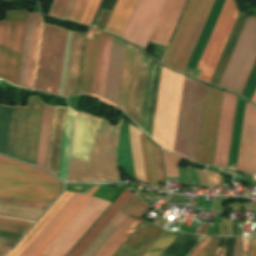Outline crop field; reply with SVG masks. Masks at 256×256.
I'll return each instance as SVG.
<instances>
[{"label":"crop field","instance_id":"obj_1","mask_svg":"<svg viewBox=\"0 0 256 256\" xmlns=\"http://www.w3.org/2000/svg\"><path fill=\"white\" fill-rule=\"evenodd\" d=\"M120 127L76 113L68 181L120 180L116 164Z\"/></svg>","mask_w":256,"mask_h":256},{"label":"crop field","instance_id":"obj_2","mask_svg":"<svg viewBox=\"0 0 256 256\" xmlns=\"http://www.w3.org/2000/svg\"><path fill=\"white\" fill-rule=\"evenodd\" d=\"M99 32L86 38L78 94L90 95ZM112 37L100 32L92 93L102 97ZM126 43L113 37L103 98L117 104Z\"/></svg>","mask_w":256,"mask_h":256},{"label":"crop field","instance_id":"obj_3","mask_svg":"<svg viewBox=\"0 0 256 256\" xmlns=\"http://www.w3.org/2000/svg\"><path fill=\"white\" fill-rule=\"evenodd\" d=\"M34 98L30 97L28 108H13L7 155L36 165L43 104ZM52 111L44 105L37 161L44 168Z\"/></svg>","mask_w":256,"mask_h":256},{"label":"crop field","instance_id":"obj_4","mask_svg":"<svg viewBox=\"0 0 256 256\" xmlns=\"http://www.w3.org/2000/svg\"><path fill=\"white\" fill-rule=\"evenodd\" d=\"M224 92L207 87L196 162L213 165ZM236 95L225 92L215 166L226 168Z\"/></svg>","mask_w":256,"mask_h":256},{"label":"crop field","instance_id":"obj_5","mask_svg":"<svg viewBox=\"0 0 256 256\" xmlns=\"http://www.w3.org/2000/svg\"><path fill=\"white\" fill-rule=\"evenodd\" d=\"M45 172L0 156V196L49 204L61 183Z\"/></svg>","mask_w":256,"mask_h":256},{"label":"crop field","instance_id":"obj_6","mask_svg":"<svg viewBox=\"0 0 256 256\" xmlns=\"http://www.w3.org/2000/svg\"><path fill=\"white\" fill-rule=\"evenodd\" d=\"M184 76L162 70L152 139L172 151Z\"/></svg>","mask_w":256,"mask_h":256},{"label":"crop field","instance_id":"obj_7","mask_svg":"<svg viewBox=\"0 0 256 256\" xmlns=\"http://www.w3.org/2000/svg\"><path fill=\"white\" fill-rule=\"evenodd\" d=\"M214 0H190L163 64L183 72Z\"/></svg>","mask_w":256,"mask_h":256},{"label":"crop field","instance_id":"obj_8","mask_svg":"<svg viewBox=\"0 0 256 256\" xmlns=\"http://www.w3.org/2000/svg\"><path fill=\"white\" fill-rule=\"evenodd\" d=\"M67 31L43 25L34 89L57 94Z\"/></svg>","mask_w":256,"mask_h":256},{"label":"crop field","instance_id":"obj_9","mask_svg":"<svg viewBox=\"0 0 256 256\" xmlns=\"http://www.w3.org/2000/svg\"><path fill=\"white\" fill-rule=\"evenodd\" d=\"M255 60L256 18H248L219 85L241 93Z\"/></svg>","mask_w":256,"mask_h":256},{"label":"crop field","instance_id":"obj_10","mask_svg":"<svg viewBox=\"0 0 256 256\" xmlns=\"http://www.w3.org/2000/svg\"><path fill=\"white\" fill-rule=\"evenodd\" d=\"M26 12H5L0 22V78L16 84Z\"/></svg>","mask_w":256,"mask_h":256},{"label":"crop field","instance_id":"obj_11","mask_svg":"<svg viewBox=\"0 0 256 256\" xmlns=\"http://www.w3.org/2000/svg\"><path fill=\"white\" fill-rule=\"evenodd\" d=\"M109 204L91 196L40 256H65Z\"/></svg>","mask_w":256,"mask_h":256},{"label":"crop field","instance_id":"obj_12","mask_svg":"<svg viewBox=\"0 0 256 256\" xmlns=\"http://www.w3.org/2000/svg\"><path fill=\"white\" fill-rule=\"evenodd\" d=\"M237 16L234 1L225 0L197 65L207 69L203 81L209 82Z\"/></svg>","mask_w":256,"mask_h":256},{"label":"crop field","instance_id":"obj_13","mask_svg":"<svg viewBox=\"0 0 256 256\" xmlns=\"http://www.w3.org/2000/svg\"><path fill=\"white\" fill-rule=\"evenodd\" d=\"M166 0H137L122 38L146 48Z\"/></svg>","mask_w":256,"mask_h":256},{"label":"crop field","instance_id":"obj_14","mask_svg":"<svg viewBox=\"0 0 256 256\" xmlns=\"http://www.w3.org/2000/svg\"><path fill=\"white\" fill-rule=\"evenodd\" d=\"M91 188L92 187H88L83 194H87ZM97 188L98 187H93L87 195L75 193L21 256H30V254L37 248V246L83 195L73 206V208L66 214V216L59 222V224L52 230V232L45 238V240L38 246V248L31 254V256H39V254L46 248V246L53 240V238L60 232V230L67 224V222L74 216V214L81 208V206L88 200V198L96 191Z\"/></svg>","mask_w":256,"mask_h":256},{"label":"crop field","instance_id":"obj_15","mask_svg":"<svg viewBox=\"0 0 256 256\" xmlns=\"http://www.w3.org/2000/svg\"><path fill=\"white\" fill-rule=\"evenodd\" d=\"M131 138L133 177L141 181V131L131 126ZM148 140L142 134V181L158 188L159 178L155 148Z\"/></svg>","mask_w":256,"mask_h":256},{"label":"crop field","instance_id":"obj_16","mask_svg":"<svg viewBox=\"0 0 256 256\" xmlns=\"http://www.w3.org/2000/svg\"><path fill=\"white\" fill-rule=\"evenodd\" d=\"M237 171L256 173V105L246 102Z\"/></svg>","mask_w":256,"mask_h":256},{"label":"crop field","instance_id":"obj_17","mask_svg":"<svg viewBox=\"0 0 256 256\" xmlns=\"http://www.w3.org/2000/svg\"><path fill=\"white\" fill-rule=\"evenodd\" d=\"M148 58L137 48L133 63L126 114L139 126Z\"/></svg>","mask_w":256,"mask_h":256},{"label":"crop field","instance_id":"obj_18","mask_svg":"<svg viewBox=\"0 0 256 256\" xmlns=\"http://www.w3.org/2000/svg\"><path fill=\"white\" fill-rule=\"evenodd\" d=\"M145 204L139 201L137 197L132 195L120 211L127 215L141 219L143 215L150 210V208ZM120 211L114 216V218L106 225V227L99 233V235L80 256H92L100 248V246L126 218V216L122 215L123 213Z\"/></svg>","mask_w":256,"mask_h":256},{"label":"crop field","instance_id":"obj_19","mask_svg":"<svg viewBox=\"0 0 256 256\" xmlns=\"http://www.w3.org/2000/svg\"><path fill=\"white\" fill-rule=\"evenodd\" d=\"M187 0H167L150 42L168 45Z\"/></svg>","mask_w":256,"mask_h":256},{"label":"crop field","instance_id":"obj_20","mask_svg":"<svg viewBox=\"0 0 256 256\" xmlns=\"http://www.w3.org/2000/svg\"><path fill=\"white\" fill-rule=\"evenodd\" d=\"M162 232L144 222L115 256H142Z\"/></svg>","mask_w":256,"mask_h":256},{"label":"crop field","instance_id":"obj_21","mask_svg":"<svg viewBox=\"0 0 256 256\" xmlns=\"http://www.w3.org/2000/svg\"><path fill=\"white\" fill-rule=\"evenodd\" d=\"M73 194V192L64 191L8 256H20Z\"/></svg>","mask_w":256,"mask_h":256},{"label":"crop field","instance_id":"obj_22","mask_svg":"<svg viewBox=\"0 0 256 256\" xmlns=\"http://www.w3.org/2000/svg\"><path fill=\"white\" fill-rule=\"evenodd\" d=\"M132 194L124 190L68 256H79Z\"/></svg>","mask_w":256,"mask_h":256},{"label":"crop field","instance_id":"obj_23","mask_svg":"<svg viewBox=\"0 0 256 256\" xmlns=\"http://www.w3.org/2000/svg\"><path fill=\"white\" fill-rule=\"evenodd\" d=\"M141 222L127 217L93 256H112Z\"/></svg>","mask_w":256,"mask_h":256},{"label":"crop field","instance_id":"obj_24","mask_svg":"<svg viewBox=\"0 0 256 256\" xmlns=\"http://www.w3.org/2000/svg\"><path fill=\"white\" fill-rule=\"evenodd\" d=\"M37 14L29 13L24 37L18 85L27 87Z\"/></svg>","mask_w":256,"mask_h":256},{"label":"crop field","instance_id":"obj_25","mask_svg":"<svg viewBox=\"0 0 256 256\" xmlns=\"http://www.w3.org/2000/svg\"><path fill=\"white\" fill-rule=\"evenodd\" d=\"M65 108L55 107L48 170L57 175Z\"/></svg>","mask_w":256,"mask_h":256},{"label":"crop field","instance_id":"obj_26","mask_svg":"<svg viewBox=\"0 0 256 256\" xmlns=\"http://www.w3.org/2000/svg\"><path fill=\"white\" fill-rule=\"evenodd\" d=\"M136 0H117L105 31L121 36Z\"/></svg>","mask_w":256,"mask_h":256},{"label":"crop field","instance_id":"obj_27","mask_svg":"<svg viewBox=\"0 0 256 256\" xmlns=\"http://www.w3.org/2000/svg\"><path fill=\"white\" fill-rule=\"evenodd\" d=\"M74 112L66 108L58 177L66 181Z\"/></svg>","mask_w":256,"mask_h":256},{"label":"crop field","instance_id":"obj_28","mask_svg":"<svg viewBox=\"0 0 256 256\" xmlns=\"http://www.w3.org/2000/svg\"><path fill=\"white\" fill-rule=\"evenodd\" d=\"M68 1L69 0H54L53 5H52L48 15L61 18L65 11V8L68 4ZM75 1L76 0L69 1L66 11L62 17L63 19H66V20L68 19L70 12L74 6ZM87 1L88 0H77L68 20L78 22L82 15V12L85 8Z\"/></svg>","mask_w":256,"mask_h":256},{"label":"crop field","instance_id":"obj_29","mask_svg":"<svg viewBox=\"0 0 256 256\" xmlns=\"http://www.w3.org/2000/svg\"><path fill=\"white\" fill-rule=\"evenodd\" d=\"M135 47L127 44L117 107L125 112Z\"/></svg>","mask_w":256,"mask_h":256},{"label":"crop field","instance_id":"obj_30","mask_svg":"<svg viewBox=\"0 0 256 256\" xmlns=\"http://www.w3.org/2000/svg\"><path fill=\"white\" fill-rule=\"evenodd\" d=\"M84 37V33H77L68 96L76 94L77 91Z\"/></svg>","mask_w":256,"mask_h":256},{"label":"crop field","instance_id":"obj_31","mask_svg":"<svg viewBox=\"0 0 256 256\" xmlns=\"http://www.w3.org/2000/svg\"><path fill=\"white\" fill-rule=\"evenodd\" d=\"M11 108L0 106V153L6 151L9 119Z\"/></svg>","mask_w":256,"mask_h":256},{"label":"crop field","instance_id":"obj_32","mask_svg":"<svg viewBox=\"0 0 256 256\" xmlns=\"http://www.w3.org/2000/svg\"><path fill=\"white\" fill-rule=\"evenodd\" d=\"M178 234L179 232L165 231L144 256H159Z\"/></svg>","mask_w":256,"mask_h":256},{"label":"crop field","instance_id":"obj_33","mask_svg":"<svg viewBox=\"0 0 256 256\" xmlns=\"http://www.w3.org/2000/svg\"><path fill=\"white\" fill-rule=\"evenodd\" d=\"M33 223L0 218V230L24 234Z\"/></svg>","mask_w":256,"mask_h":256},{"label":"crop field","instance_id":"obj_34","mask_svg":"<svg viewBox=\"0 0 256 256\" xmlns=\"http://www.w3.org/2000/svg\"><path fill=\"white\" fill-rule=\"evenodd\" d=\"M210 239L211 238L209 237H205L203 241L197 246V248L191 253L190 256H196ZM218 239L219 238H212L197 256H212L216 249Z\"/></svg>","mask_w":256,"mask_h":256},{"label":"crop field","instance_id":"obj_35","mask_svg":"<svg viewBox=\"0 0 256 256\" xmlns=\"http://www.w3.org/2000/svg\"><path fill=\"white\" fill-rule=\"evenodd\" d=\"M40 28H41V20H40V16L38 15L37 25H36V32H35V39H34L33 54H32L31 69H30V76H29V84H28V87L31 88V89H32V85H33V78H34V71H35V64H36V56H37Z\"/></svg>","mask_w":256,"mask_h":256},{"label":"crop field","instance_id":"obj_36","mask_svg":"<svg viewBox=\"0 0 256 256\" xmlns=\"http://www.w3.org/2000/svg\"><path fill=\"white\" fill-rule=\"evenodd\" d=\"M101 0H89L86 8L83 12V15L80 19V23L91 25L92 20L96 14V11L99 7Z\"/></svg>","mask_w":256,"mask_h":256},{"label":"crop field","instance_id":"obj_37","mask_svg":"<svg viewBox=\"0 0 256 256\" xmlns=\"http://www.w3.org/2000/svg\"><path fill=\"white\" fill-rule=\"evenodd\" d=\"M168 177H179L177 166L180 158L164 151Z\"/></svg>","mask_w":256,"mask_h":256},{"label":"crop field","instance_id":"obj_38","mask_svg":"<svg viewBox=\"0 0 256 256\" xmlns=\"http://www.w3.org/2000/svg\"><path fill=\"white\" fill-rule=\"evenodd\" d=\"M0 203L41 209V210H45L48 207L46 205H40V204H34V203H28V202H22V201H16V200L4 199V198H0Z\"/></svg>","mask_w":256,"mask_h":256},{"label":"crop field","instance_id":"obj_39","mask_svg":"<svg viewBox=\"0 0 256 256\" xmlns=\"http://www.w3.org/2000/svg\"><path fill=\"white\" fill-rule=\"evenodd\" d=\"M155 148H156V156H157V163H158V170H159V178H160V181H163L165 180V177H164V171H163L161 152H160V148H158L157 146H155Z\"/></svg>","mask_w":256,"mask_h":256},{"label":"crop field","instance_id":"obj_40","mask_svg":"<svg viewBox=\"0 0 256 256\" xmlns=\"http://www.w3.org/2000/svg\"><path fill=\"white\" fill-rule=\"evenodd\" d=\"M242 238H236L234 256H247V253H240Z\"/></svg>","mask_w":256,"mask_h":256},{"label":"crop field","instance_id":"obj_41","mask_svg":"<svg viewBox=\"0 0 256 256\" xmlns=\"http://www.w3.org/2000/svg\"><path fill=\"white\" fill-rule=\"evenodd\" d=\"M208 176H209L211 187L218 184V174L217 173H213V172L208 171Z\"/></svg>","mask_w":256,"mask_h":256},{"label":"crop field","instance_id":"obj_42","mask_svg":"<svg viewBox=\"0 0 256 256\" xmlns=\"http://www.w3.org/2000/svg\"><path fill=\"white\" fill-rule=\"evenodd\" d=\"M17 241H18L17 239L0 237V244H4V245L13 246Z\"/></svg>","mask_w":256,"mask_h":256},{"label":"crop field","instance_id":"obj_43","mask_svg":"<svg viewBox=\"0 0 256 256\" xmlns=\"http://www.w3.org/2000/svg\"><path fill=\"white\" fill-rule=\"evenodd\" d=\"M250 256H256V239H252Z\"/></svg>","mask_w":256,"mask_h":256},{"label":"crop field","instance_id":"obj_44","mask_svg":"<svg viewBox=\"0 0 256 256\" xmlns=\"http://www.w3.org/2000/svg\"><path fill=\"white\" fill-rule=\"evenodd\" d=\"M11 247L0 245V256H4ZM10 251V250H9Z\"/></svg>","mask_w":256,"mask_h":256},{"label":"crop field","instance_id":"obj_45","mask_svg":"<svg viewBox=\"0 0 256 256\" xmlns=\"http://www.w3.org/2000/svg\"><path fill=\"white\" fill-rule=\"evenodd\" d=\"M207 227H208V225L202 224L201 228H200V231H199V234L206 235Z\"/></svg>","mask_w":256,"mask_h":256},{"label":"crop field","instance_id":"obj_46","mask_svg":"<svg viewBox=\"0 0 256 256\" xmlns=\"http://www.w3.org/2000/svg\"><path fill=\"white\" fill-rule=\"evenodd\" d=\"M225 248H218L214 256H224Z\"/></svg>","mask_w":256,"mask_h":256},{"label":"crop field","instance_id":"obj_47","mask_svg":"<svg viewBox=\"0 0 256 256\" xmlns=\"http://www.w3.org/2000/svg\"><path fill=\"white\" fill-rule=\"evenodd\" d=\"M251 100L256 102V90Z\"/></svg>","mask_w":256,"mask_h":256},{"label":"crop field","instance_id":"obj_48","mask_svg":"<svg viewBox=\"0 0 256 256\" xmlns=\"http://www.w3.org/2000/svg\"><path fill=\"white\" fill-rule=\"evenodd\" d=\"M251 181H253V175H252ZM254 181L256 182V176L255 175H254Z\"/></svg>","mask_w":256,"mask_h":256},{"label":"crop field","instance_id":"obj_49","mask_svg":"<svg viewBox=\"0 0 256 256\" xmlns=\"http://www.w3.org/2000/svg\"><path fill=\"white\" fill-rule=\"evenodd\" d=\"M219 181H220V183H221V179H220V176H219ZM222 185V184H221Z\"/></svg>","mask_w":256,"mask_h":256}]
</instances>
